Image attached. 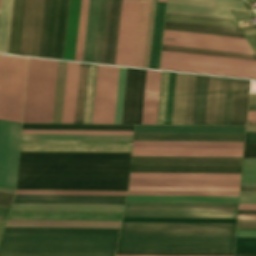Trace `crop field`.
<instances>
[{
	"instance_id": "412701ff",
	"label": "crop field",
	"mask_w": 256,
	"mask_h": 256,
	"mask_svg": "<svg viewBox=\"0 0 256 256\" xmlns=\"http://www.w3.org/2000/svg\"><path fill=\"white\" fill-rule=\"evenodd\" d=\"M57 62L29 59L23 123H51Z\"/></svg>"
},
{
	"instance_id": "a0ae1fb6",
	"label": "crop field",
	"mask_w": 256,
	"mask_h": 256,
	"mask_svg": "<svg viewBox=\"0 0 256 256\" xmlns=\"http://www.w3.org/2000/svg\"><path fill=\"white\" fill-rule=\"evenodd\" d=\"M0 192L11 193V194H13V193H14V191H11V190H5V189H0Z\"/></svg>"
},
{
	"instance_id": "28ad6ade",
	"label": "crop field",
	"mask_w": 256,
	"mask_h": 256,
	"mask_svg": "<svg viewBox=\"0 0 256 256\" xmlns=\"http://www.w3.org/2000/svg\"><path fill=\"white\" fill-rule=\"evenodd\" d=\"M21 124L0 121V187L15 189Z\"/></svg>"
},
{
	"instance_id": "bc2a9ffb",
	"label": "crop field",
	"mask_w": 256,
	"mask_h": 256,
	"mask_svg": "<svg viewBox=\"0 0 256 256\" xmlns=\"http://www.w3.org/2000/svg\"><path fill=\"white\" fill-rule=\"evenodd\" d=\"M243 150L133 148L132 156L242 157Z\"/></svg>"
},
{
	"instance_id": "733c2abd",
	"label": "crop field",
	"mask_w": 256,
	"mask_h": 256,
	"mask_svg": "<svg viewBox=\"0 0 256 256\" xmlns=\"http://www.w3.org/2000/svg\"><path fill=\"white\" fill-rule=\"evenodd\" d=\"M125 197L15 195L12 203L124 205Z\"/></svg>"
},
{
	"instance_id": "425ffa30",
	"label": "crop field",
	"mask_w": 256,
	"mask_h": 256,
	"mask_svg": "<svg viewBox=\"0 0 256 256\" xmlns=\"http://www.w3.org/2000/svg\"><path fill=\"white\" fill-rule=\"evenodd\" d=\"M86 69L87 65L80 64L74 123H81L82 119Z\"/></svg>"
},
{
	"instance_id": "c21b1889",
	"label": "crop field",
	"mask_w": 256,
	"mask_h": 256,
	"mask_svg": "<svg viewBox=\"0 0 256 256\" xmlns=\"http://www.w3.org/2000/svg\"><path fill=\"white\" fill-rule=\"evenodd\" d=\"M166 12L232 19L229 11L222 9L167 4Z\"/></svg>"
},
{
	"instance_id": "f47e1a6f",
	"label": "crop field",
	"mask_w": 256,
	"mask_h": 256,
	"mask_svg": "<svg viewBox=\"0 0 256 256\" xmlns=\"http://www.w3.org/2000/svg\"><path fill=\"white\" fill-rule=\"evenodd\" d=\"M234 256H256V255H234Z\"/></svg>"
},
{
	"instance_id": "028f5c9d",
	"label": "crop field",
	"mask_w": 256,
	"mask_h": 256,
	"mask_svg": "<svg viewBox=\"0 0 256 256\" xmlns=\"http://www.w3.org/2000/svg\"><path fill=\"white\" fill-rule=\"evenodd\" d=\"M165 21L238 29L234 20L166 13Z\"/></svg>"
},
{
	"instance_id": "89e229c0",
	"label": "crop field",
	"mask_w": 256,
	"mask_h": 256,
	"mask_svg": "<svg viewBox=\"0 0 256 256\" xmlns=\"http://www.w3.org/2000/svg\"><path fill=\"white\" fill-rule=\"evenodd\" d=\"M197 76L189 75L184 125H192Z\"/></svg>"
},
{
	"instance_id": "78b8030e",
	"label": "crop field",
	"mask_w": 256,
	"mask_h": 256,
	"mask_svg": "<svg viewBox=\"0 0 256 256\" xmlns=\"http://www.w3.org/2000/svg\"><path fill=\"white\" fill-rule=\"evenodd\" d=\"M128 194L238 195V193L128 192Z\"/></svg>"
},
{
	"instance_id": "f0312440",
	"label": "crop field",
	"mask_w": 256,
	"mask_h": 256,
	"mask_svg": "<svg viewBox=\"0 0 256 256\" xmlns=\"http://www.w3.org/2000/svg\"><path fill=\"white\" fill-rule=\"evenodd\" d=\"M247 120H256V112H248Z\"/></svg>"
},
{
	"instance_id": "447ae74e",
	"label": "crop field",
	"mask_w": 256,
	"mask_h": 256,
	"mask_svg": "<svg viewBox=\"0 0 256 256\" xmlns=\"http://www.w3.org/2000/svg\"><path fill=\"white\" fill-rule=\"evenodd\" d=\"M133 132L22 131V134L132 135Z\"/></svg>"
},
{
	"instance_id": "fb207236",
	"label": "crop field",
	"mask_w": 256,
	"mask_h": 256,
	"mask_svg": "<svg viewBox=\"0 0 256 256\" xmlns=\"http://www.w3.org/2000/svg\"><path fill=\"white\" fill-rule=\"evenodd\" d=\"M239 210H256V205H239Z\"/></svg>"
},
{
	"instance_id": "d3111659",
	"label": "crop field",
	"mask_w": 256,
	"mask_h": 256,
	"mask_svg": "<svg viewBox=\"0 0 256 256\" xmlns=\"http://www.w3.org/2000/svg\"><path fill=\"white\" fill-rule=\"evenodd\" d=\"M151 2L141 1L133 66L143 67Z\"/></svg>"
},
{
	"instance_id": "25e5ab78",
	"label": "crop field",
	"mask_w": 256,
	"mask_h": 256,
	"mask_svg": "<svg viewBox=\"0 0 256 256\" xmlns=\"http://www.w3.org/2000/svg\"><path fill=\"white\" fill-rule=\"evenodd\" d=\"M162 50L176 51V52H186V53H195V54H205V55H215V56H225V57H234V58H244V59H254V60H256V56L255 55H249V54H239V53H229V52H219V51H208V50H198V49H188V48H178V47H168V46H163Z\"/></svg>"
},
{
	"instance_id": "c3a83c6f",
	"label": "crop field",
	"mask_w": 256,
	"mask_h": 256,
	"mask_svg": "<svg viewBox=\"0 0 256 256\" xmlns=\"http://www.w3.org/2000/svg\"><path fill=\"white\" fill-rule=\"evenodd\" d=\"M240 192H256V186H241Z\"/></svg>"
},
{
	"instance_id": "1d83c4d3",
	"label": "crop field",
	"mask_w": 256,
	"mask_h": 256,
	"mask_svg": "<svg viewBox=\"0 0 256 256\" xmlns=\"http://www.w3.org/2000/svg\"><path fill=\"white\" fill-rule=\"evenodd\" d=\"M249 82L235 80L231 125H245Z\"/></svg>"
},
{
	"instance_id": "34b2d1b8",
	"label": "crop field",
	"mask_w": 256,
	"mask_h": 256,
	"mask_svg": "<svg viewBox=\"0 0 256 256\" xmlns=\"http://www.w3.org/2000/svg\"><path fill=\"white\" fill-rule=\"evenodd\" d=\"M234 237L120 236L118 245L233 246ZM233 247L118 246L116 255L232 256Z\"/></svg>"
},
{
	"instance_id": "999ad59e",
	"label": "crop field",
	"mask_w": 256,
	"mask_h": 256,
	"mask_svg": "<svg viewBox=\"0 0 256 256\" xmlns=\"http://www.w3.org/2000/svg\"><path fill=\"white\" fill-rule=\"evenodd\" d=\"M150 1H153V0H150Z\"/></svg>"
},
{
	"instance_id": "ae1a2a85",
	"label": "crop field",
	"mask_w": 256,
	"mask_h": 256,
	"mask_svg": "<svg viewBox=\"0 0 256 256\" xmlns=\"http://www.w3.org/2000/svg\"><path fill=\"white\" fill-rule=\"evenodd\" d=\"M238 197L128 196L126 202L237 203Z\"/></svg>"
},
{
	"instance_id": "1d79db26",
	"label": "crop field",
	"mask_w": 256,
	"mask_h": 256,
	"mask_svg": "<svg viewBox=\"0 0 256 256\" xmlns=\"http://www.w3.org/2000/svg\"><path fill=\"white\" fill-rule=\"evenodd\" d=\"M241 185H256V159H244Z\"/></svg>"
},
{
	"instance_id": "d23c7cc5",
	"label": "crop field",
	"mask_w": 256,
	"mask_h": 256,
	"mask_svg": "<svg viewBox=\"0 0 256 256\" xmlns=\"http://www.w3.org/2000/svg\"><path fill=\"white\" fill-rule=\"evenodd\" d=\"M168 2L244 10L242 0H168Z\"/></svg>"
},
{
	"instance_id": "c821d689",
	"label": "crop field",
	"mask_w": 256,
	"mask_h": 256,
	"mask_svg": "<svg viewBox=\"0 0 256 256\" xmlns=\"http://www.w3.org/2000/svg\"><path fill=\"white\" fill-rule=\"evenodd\" d=\"M246 132H256V127H247Z\"/></svg>"
},
{
	"instance_id": "dd49c442",
	"label": "crop field",
	"mask_w": 256,
	"mask_h": 256,
	"mask_svg": "<svg viewBox=\"0 0 256 256\" xmlns=\"http://www.w3.org/2000/svg\"><path fill=\"white\" fill-rule=\"evenodd\" d=\"M237 204L126 203L124 217L236 219Z\"/></svg>"
},
{
	"instance_id": "214f88e0",
	"label": "crop field",
	"mask_w": 256,
	"mask_h": 256,
	"mask_svg": "<svg viewBox=\"0 0 256 256\" xmlns=\"http://www.w3.org/2000/svg\"><path fill=\"white\" fill-rule=\"evenodd\" d=\"M240 180L130 179L129 186L239 187Z\"/></svg>"
},
{
	"instance_id": "d8731c3e",
	"label": "crop field",
	"mask_w": 256,
	"mask_h": 256,
	"mask_svg": "<svg viewBox=\"0 0 256 256\" xmlns=\"http://www.w3.org/2000/svg\"><path fill=\"white\" fill-rule=\"evenodd\" d=\"M69 0H45L38 57L62 59Z\"/></svg>"
},
{
	"instance_id": "bd1437ed",
	"label": "crop field",
	"mask_w": 256,
	"mask_h": 256,
	"mask_svg": "<svg viewBox=\"0 0 256 256\" xmlns=\"http://www.w3.org/2000/svg\"><path fill=\"white\" fill-rule=\"evenodd\" d=\"M101 0H89L83 61L93 62Z\"/></svg>"
},
{
	"instance_id": "dafd665d",
	"label": "crop field",
	"mask_w": 256,
	"mask_h": 256,
	"mask_svg": "<svg viewBox=\"0 0 256 256\" xmlns=\"http://www.w3.org/2000/svg\"><path fill=\"white\" fill-rule=\"evenodd\" d=\"M244 135L134 134V141L243 142Z\"/></svg>"
},
{
	"instance_id": "120bbe31",
	"label": "crop field",
	"mask_w": 256,
	"mask_h": 256,
	"mask_svg": "<svg viewBox=\"0 0 256 256\" xmlns=\"http://www.w3.org/2000/svg\"><path fill=\"white\" fill-rule=\"evenodd\" d=\"M133 147L243 149V143L134 142Z\"/></svg>"
},
{
	"instance_id": "73cf0c24",
	"label": "crop field",
	"mask_w": 256,
	"mask_h": 256,
	"mask_svg": "<svg viewBox=\"0 0 256 256\" xmlns=\"http://www.w3.org/2000/svg\"><path fill=\"white\" fill-rule=\"evenodd\" d=\"M87 10H88V0H82L79 32H78V40H77V48H76V56H75V60H79V61H82V57H83Z\"/></svg>"
},
{
	"instance_id": "00972430",
	"label": "crop field",
	"mask_w": 256,
	"mask_h": 256,
	"mask_svg": "<svg viewBox=\"0 0 256 256\" xmlns=\"http://www.w3.org/2000/svg\"><path fill=\"white\" fill-rule=\"evenodd\" d=\"M241 167L131 166L130 172L240 174Z\"/></svg>"
},
{
	"instance_id": "3620e2b9",
	"label": "crop field",
	"mask_w": 256,
	"mask_h": 256,
	"mask_svg": "<svg viewBox=\"0 0 256 256\" xmlns=\"http://www.w3.org/2000/svg\"><path fill=\"white\" fill-rule=\"evenodd\" d=\"M158 1L166 2V0H158Z\"/></svg>"
},
{
	"instance_id": "0f1d7ab4",
	"label": "crop field",
	"mask_w": 256,
	"mask_h": 256,
	"mask_svg": "<svg viewBox=\"0 0 256 256\" xmlns=\"http://www.w3.org/2000/svg\"><path fill=\"white\" fill-rule=\"evenodd\" d=\"M16 192H43V191H16ZM43 193H99V192H43ZM15 194H42V193H15ZM99 194H126V193H99ZM42 195H98V194H42ZM98 196H125V195H98Z\"/></svg>"
},
{
	"instance_id": "0765c3eb",
	"label": "crop field",
	"mask_w": 256,
	"mask_h": 256,
	"mask_svg": "<svg viewBox=\"0 0 256 256\" xmlns=\"http://www.w3.org/2000/svg\"><path fill=\"white\" fill-rule=\"evenodd\" d=\"M106 2H107V0H102L101 1V9H100V17H99V25H98V34H97V42H96V50H95V58H94V62H97V63H99V59H100V51H101V43H102V35H103V26H104Z\"/></svg>"
},
{
	"instance_id": "7b73153f",
	"label": "crop field",
	"mask_w": 256,
	"mask_h": 256,
	"mask_svg": "<svg viewBox=\"0 0 256 256\" xmlns=\"http://www.w3.org/2000/svg\"><path fill=\"white\" fill-rule=\"evenodd\" d=\"M156 3L152 2L144 67L148 68Z\"/></svg>"
},
{
	"instance_id": "7312dd0a",
	"label": "crop field",
	"mask_w": 256,
	"mask_h": 256,
	"mask_svg": "<svg viewBox=\"0 0 256 256\" xmlns=\"http://www.w3.org/2000/svg\"><path fill=\"white\" fill-rule=\"evenodd\" d=\"M238 219H256V215H238Z\"/></svg>"
},
{
	"instance_id": "0bd39190",
	"label": "crop field",
	"mask_w": 256,
	"mask_h": 256,
	"mask_svg": "<svg viewBox=\"0 0 256 256\" xmlns=\"http://www.w3.org/2000/svg\"><path fill=\"white\" fill-rule=\"evenodd\" d=\"M188 75L177 74L172 124L183 125Z\"/></svg>"
},
{
	"instance_id": "8a807250",
	"label": "crop field",
	"mask_w": 256,
	"mask_h": 256,
	"mask_svg": "<svg viewBox=\"0 0 256 256\" xmlns=\"http://www.w3.org/2000/svg\"><path fill=\"white\" fill-rule=\"evenodd\" d=\"M130 154L20 153L16 189L127 190Z\"/></svg>"
},
{
	"instance_id": "750c4746",
	"label": "crop field",
	"mask_w": 256,
	"mask_h": 256,
	"mask_svg": "<svg viewBox=\"0 0 256 256\" xmlns=\"http://www.w3.org/2000/svg\"><path fill=\"white\" fill-rule=\"evenodd\" d=\"M79 64L68 63L62 123H73Z\"/></svg>"
},
{
	"instance_id": "c5b07064",
	"label": "crop field",
	"mask_w": 256,
	"mask_h": 256,
	"mask_svg": "<svg viewBox=\"0 0 256 256\" xmlns=\"http://www.w3.org/2000/svg\"><path fill=\"white\" fill-rule=\"evenodd\" d=\"M236 237H256V232H237Z\"/></svg>"
},
{
	"instance_id": "e52e79f7",
	"label": "crop field",
	"mask_w": 256,
	"mask_h": 256,
	"mask_svg": "<svg viewBox=\"0 0 256 256\" xmlns=\"http://www.w3.org/2000/svg\"><path fill=\"white\" fill-rule=\"evenodd\" d=\"M27 58L1 55L0 119L21 123Z\"/></svg>"
},
{
	"instance_id": "4177f3b9",
	"label": "crop field",
	"mask_w": 256,
	"mask_h": 256,
	"mask_svg": "<svg viewBox=\"0 0 256 256\" xmlns=\"http://www.w3.org/2000/svg\"><path fill=\"white\" fill-rule=\"evenodd\" d=\"M120 222L7 221L5 227L119 228Z\"/></svg>"
},
{
	"instance_id": "5866460e",
	"label": "crop field",
	"mask_w": 256,
	"mask_h": 256,
	"mask_svg": "<svg viewBox=\"0 0 256 256\" xmlns=\"http://www.w3.org/2000/svg\"><path fill=\"white\" fill-rule=\"evenodd\" d=\"M22 130L133 131V126H118V125H23Z\"/></svg>"
},
{
	"instance_id": "ae633e8c",
	"label": "crop field",
	"mask_w": 256,
	"mask_h": 256,
	"mask_svg": "<svg viewBox=\"0 0 256 256\" xmlns=\"http://www.w3.org/2000/svg\"><path fill=\"white\" fill-rule=\"evenodd\" d=\"M237 229H256V220H238Z\"/></svg>"
},
{
	"instance_id": "dbb93151",
	"label": "crop field",
	"mask_w": 256,
	"mask_h": 256,
	"mask_svg": "<svg viewBox=\"0 0 256 256\" xmlns=\"http://www.w3.org/2000/svg\"><path fill=\"white\" fill-rule=\"evenodd\" d=\"M239 188L129 187V190L238 192Z\"/></svg>"
},
{
	"instance_id": "e1f06a70",
	"label": "crop field",
	"mask_w": 256,
	"mask_h": 256,
	"mask_svg": "<svg viewBox=\"0 0 256 256\" xmlns=\"http://www.w3.org/2000/svg\"><path fill=\"white\" fill-rule=\"evenodd\" d=\"M165 4L157 3L149 68L158 69Z\"/></svg>"
},
{
	"instance_id": "3316defc",
	"label": "crop field",
	"mask_w": 256,
	"mask_h": 256,
	"mask_svg": "<svg viewBox=\"0 0 256 256\" xmlns=\"http://www.w3.org/2000/svg\"><path fill=\"white\" fill-rule=\"evenodd\" d=\"M119 68L98 66L92 124H113Z\"/></svg>"
},
{
	"instance_id": "5edd877f",
	"label": "crop field",
	"mask_w": 256,
	"mask_h": 256,
	"mask_svg": "<svg viewBox=\"0 0 256 256\" xmlns=\"http://www.w3.org/2000/svg\"><path fill=\"white\" fill-rule=\"evenodd\" d=\"M242 26H248V24H245V25H241V26H239V27H242Z\"/></svg>"
},
{
	"instance_id": "1f1604b0",
	"label": "crop field",
	"mask_w": 256,
	"mask_h": 256,
	"mask_svg": "<svg viewBox=\"0 0 256 256\" xmlns=\"http://www.w3.org/2000/svg\"><path fill=\"white\" fill-rule=\"evenodd\" d=\"M249 105H256V95H250Z\"/></svg>"
},
{
	"instance_id": "180be81f",
	"label": "crop field",
	"mask_w": 256,
	"mask_h": 256,
	"mask_svg": "<svg viewBox=\"0 0 256 256\" xmlns=\"http://www.w3.org/2000/svg\"><path fill=\"white\" fill-rule=\"evenodd\" d=\"M8 210H9V209H7V208H1V207H0V217L6 218V217H7Z\"/></svg>"
},
{
	"instance_id": "d14b1444",
	"label": "crop field",
	"mask_w": 256,
	"mask_h": 256,
	"mask_svg": "<svg viewBox=\"0 0 256 256\" xmlns=\"http://www.w3.org/2000/svg\"><path fill=\"white\" fill-rule=\"evenodd\" d=\"M11 194H5V193H0V206L1 207H10L11 200H12Z\"/></svg>"
},
{
	"instance_id": "ade564c9",
	"label": "crop field",
	"mask_w": 256,
	"mask_h": 256,
	"mask_svg": "<svg viewBox=\"0 0 256 256\" xmlns=\"http://www.w3.org/2000/svg\"><path fill=\"white\" fill-rule=\"evenodd\" d=\"M245 144H256V133H246Z\"/></svg>"
},
{
	"instance_id": "e1d0b9f6",
	"label": "crop field",
	"mask_w": 256,
	"mask_h": 256,
	"mask_svg": "<svg viewBox=\"0 0 256 256\" xmlns=\"http://www.w3.org/2000/svg\"><path fill=\"white\" fill-rule=\"evenodd\" d=\"M239 204H256V193H240Z\"/></svg>"
},
{
	"instance_id": "92a150f3",
	"label": "crop field",
	"mask_w": 256,
	"mask_h": 256,
	"mask_svg": "<svg viewBox=\"0 0 256 256\" xmlns=\"http://www.w3.org/2000/svg\"><path fill=\"white\" fill-rule=\"evenodd\" d=\"M245 127L135 126L134 133L244 134Z\"/></svg>"
},
{
	"instance_id": "db79e9e6",
	"label": "crop field",
	"mask_w": 256,
	"mask_h": 256,
	"mask_svg": "<svg viewBox=\"0 0 256 256\" xmlns=\"http://www.w3.org/2000/svg\"><path fill=\"white\" fill-rule=\"evenodd\" d=\"M176 74L170 73L165 124H171Z\"/></svg>"
},
{
	"instance_id": "9d1cf04e",
	"label": "crop field",
	"mask_w": 256,
	"mask_h": 256,
	"mask_svg": "<svg viewBox=\"0 0 256 256\" xmlns=\"http://www.w3.org/2000/svg\"><path fill=\"white\" fill-rule=\"evenodd\" d=\"M234 254H256V238H236Z\"/></svg>"
},
{
	"instance_id": "22f410ed",
	"label": "crop field",
	"mask_w": 256,
	"mask_h": 256,
	"mask_svg": "<svg viewBox=\"0 0 256 256\" xmlns=\"http://www.w3.org/2000/svg\"><path fill=\"white\" fill-rule=\"evenodd\" d=\"M234 80L209 77L205 125H230Z\"/></svg>"
},
{
	"instance_id": "d1516ede",
	"label": "crop field",
	"mask_w": 256,
	"mask_h": 256,
	"mask_svg": "<svg viewBox=\"0 0 256 256\" xmlns=\"http://www.w3.org/2000/svg\"><path fill=\"white\" fill-rule=\"evenodd\" d=\"M163 38L175 39V43L163 41V45H168V46L253 54L246 39L169 32V31H164Z\"/></svg>"
},
{
	"instance_id": "819c52e7",
	"label": "crop field",
	"mask_w": 256,
	"mask_h": 256,
	"mask_svg": "<svg viewBox=\"0 0 256 256\" xmlns=\"http://www.w3.org/2000/svg\"><path fill=\"white\" fill-rule=\"evenodd\" d=\"M238 214H256V211H239Z\"/></svg>"
},
{
	"instance_id": "5d738f31",
	"label": "crop field",
	"mask_w": 256,
	"mask_h": 256,
	"mask_svg": "<svg viewBox=\"0 0 256 256\" xmlns=\"http://www.w3.org/2000/svg\"><path fill=\"white\" fill-rule=\"evenodd\" d=\"M12 0L1 1L0 11V52L6 53Z\"/></svg>"
},
{
	"instance_id": "4a817a6b",
	"label": "crop field",
	"mask_w": 256,
	"mask_h": 256,
	"mask_svg": "<svg viewBox=\"0 0 256 256\" xmlns=\"http://www.w3.org/2000/svg\"><path fill=\"white\" fill-rule=\"evenodd\" d=\"M242 158L132 157L131 165L241 166Z\"/></svg>"
},
{
	"instance_id": "cbeb9de0",
	"label": "crop field",
	"mask_w": 256,
	"mask_h": 256,
	"mask_svg": "<svg viewBox=\"0 0 256 256\" xmlns=\"http://www.w3.org/2000/svg\"><path fill=\"white\" fill-rule=\"evenodd\" d=\"M140 1L123 0L115 64L132 66Z\"/></svg>"
},
{
	"instance_id": "c035e120",
	"label": "crop field",
	"mask_w": 256,
	"mask_h": 256,
	"mask_svg": "<svg viewBox=\"0 0 256 256\" xmlns=\"http://www.w3.org/2000/svg\"><path fill=\"white\" fill-rule=\"evenodd\" d=\"M67 63L58 62L52 123H61Z\"/></svg>"
},
{
	"instance_id": "0fb4a251",
	"label": "crop field",
	"mask_w": 256,
	"mask_h": 256,
	"mask_svg": "<svg viewBox=\"0 0 256 256\" xmlns=\"http://www.w3.org/2000/svg\"><path fill=\"white\" fill-rule=\"evenodd\" d=\"M126 69L120 68L114 124H121Z\"/></svg>"
},
{
	"instance_id": "5a996713",
	"label": "crop field",
	"mask_w": 256,
	"mask_h": 256,
	"mask_svg": "<svg viewBox=\"0 0 256 256\" xmlns=\"http://www.w3.org/2000/svg\"><path fill=\"white\" fill-rule=\"evenodd\" d=\"M235 224L122 223L120 235L234 236Z\"/></svg>"
},
{
	"instance_id": "730fd06b",
	"label": "crop field",
	"mask_w": 256,
	"mask_h": 256,
	"mask_svg": "<svg viewBox=\"0 0 256 256\" xmlns=\"http://www.w3.org/2000/svg\"><path fill=\"white\" fill-rule=\"evenodd\" d=\"M124 206L12 204L10 210L122 212Z\"/></svg>"
},
{
	"instance_id": "eef30255",
	"label": "crop field",
	"mask_w": 256,
	"mask_h": 256,
	"mask_svg": "<svg viewBox=\"0 0 256 256\" xmlns=\"http://www.w3.org/2000/svg\"><path fill=\"white\" fill-rule=\"evenodd\" d=\"M151 72H156V74L151 73ZM151 72H147V77H146V87H145V98H144L142 123H151L152 107H153V96H154V85H155L154 74H155L156 85H155V96H154L152 124H156L161 72H157V71H151Z\"/></svg>"
},
{
	"instance_id": "d32e631a",
	"label": "crop field",
	"mask_w": 256,
	"mask_h": 256,
	"mask_svg": "<svg viewBox=\"0 0 256 256\" xmlns=\"http://www.w3.org/2000/svg\"><path fill=\"white\" fill-rule=\"evenodd\" d=\"M164 30L244 38L240 30L165 22Z\"/></svg>"
},
{
	"instance_id": "d9b57169",
	"label": "crop field",
	"mask_w": 256,
	"mask_h": 256,
	"mask_svg": "<svg viewBox=\"0 0 256 256\" xmlns=\"http://www.w3.org/2000/svg\"><path fill=\"white\" fill-rule=\"evenodd\" d=\"M122 0H108L100 63L114 64Z\"/></svg>"
},
{
	"instance_id": "920284fa",
	"label": "crop field",
	"mask_w": 256,
	"mask_h": 256,
	"mask_svg": "<svg viewBox=\"0 0 256 256\" xmlns=\"http://www.w3.org/2000/svg\"><path fill=\"white\" fill-rule=\"evenodd\" d=\"M247 125H256V121H247Z\"/></svg>"
},
{
	"instance_id": "1f2cbd36",
	"label": "crop field",
	"mask_w": 256,
	"mask_h": 256,
	"mask_svg": "<svg viewBox=\"0 0 256 256\" xmlns=\"http://www.w3.org/2000/svg\"><path fill=\"white\" fill-rule=\"evenodd\" d=\"M122 222L235 223L236 220L123 218Z\"/></svg>"
},
{
	"instance_id": "a9b5d70f",
	"label": "crop field",
	"mask_w": 256,
	"mask_h": 256,
	"mask_svg": "<svg viewBox=\"0 0 256 256\" xmlns=\"http://www.w3.org/2000/svg\"><path fill=\"white\" fill-rule=\"evenodd\" d=\"M119 229L5 228L3 234L118 235Z\"/></svg>"
},
{
	"instance_id": "ac0d7876",
	"label": "crop field",
	"mask_w": 256,
	"mask_h": 256,
	"mask_svg": "<svg viewBox=\"0 0 256 256\" xmlns=\"http://www.w3.org/2000/svg\"><path fill=\"white\" fill-rule=\"evenodd\" d=\"M118 236L3 235L0 249L115 250ZM115 251L0 250V254L114 255ZM55 256V255H0Z\"/></svg>"
},
{
	"instance_id": "5142ce71",
	"label": "crop field",
	"mask_w": 256,
	"mask_h": 256,
	"mask_svg": "<svg viewBox=\"0 0 256 256\" xmlns=\"http://www.w3.org/2000/svg\"><path fill=\"white\" fill-rule=\"evenodd\" d=\"M146 71L127 69L122 124H141Z\"/></svg>"
},
{
	"instance_id": "b54c1fbb",
	"label": "crop field",
	"mask_w": 256,
	"mask_h": 256,
	"mask_svg": "<svg viewBox=\"0 0 256 256\" xmlns=\"http://www.w3.org/2000/svg\"><path fill=\"white\" fill-rule=\"evenodd\" d=\"M130 178L240 179V175L130 173Z\"/></svg>"
},
{
	"instance_id": "b80d0937",
	"label": "crop field",
	"mask_w": 256,
	"mask_h": 256,
	"mask_svg": "<svg viewBox=\"0 0 256 256\" xmlns=\"http://www.w3.org/2000/svg\"><path fill=\"white\" fill-rule=\"evenodd\" d=\"M132 136L22 135L21 140L131 141Z\"/></svg>"
},
{
	"instance_id": "8de936bc",
	"label": "crop field",
	"mask_w": 256,
	"mask_h": 256,
	"mask_svg": "<svg viewBox=\"0 0 256 256\" xmlns=\"http://www.w3.org/2000/svg\"><path fill=\"white\" fill-rule=\"evenodd\" d=\"M248 111H256V106H249Z\"/></svg>"
},
{
	"instance_id": "c39391a2",
	"label": "crop field",
	"mask_w": 256,
	"mask_h": 256,
	"mask_svg": "<svg viewBox=\"0 0 256 256\" xmlns=\"http://www.w3.org/2000/svg\"><path fill=\"white\" fill-rule=\"evenodd\" d=\"M244 158H256V145H245Z\"/></svg>"
},
{
	"instance_id": "03da06ac",
	"label": "crop field",
	"mask_w": 256,
	"mask_h": 256,
	"mask_svg": "<svg viewBox=\"0 0 256 256\" xmlns=\"http://www.w3.org/2000/svg\"><path fill=\"white\" fill-rule=\"evenodd\" d=\"M208 77L198 76L193 125H204Z\"/></svg>"
},
{
	"instance_id": "f4fd0767",
	"label": "crop field",
	"mask_w": 256,
	"mask_h": 256,
	"mask_svg": "<svg viewBox=\"0 0 256 256\" xmlns=\"http://www.w3.org/2000/svg\"><path fill=\"white\" fill-rule=\"evenodd\" d=\"M44 0H13L7 53L37 57Z\"/></svg>"
}]
</instances>
